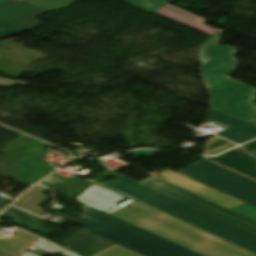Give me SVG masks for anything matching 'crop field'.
<instances>
[{
	"label": "crop field",
	"instance_id": "crop-field-6",
	"mask_svg": "<svg viewBox=\"0 0 256 256\" xmlns=\"http://www.w3.org/2000/svg\"><path fill=\"white\" fill-rule=\"evenodd\" d=\"M144 12H154L182 25L203 32L210 36L214 35L216 29L205 25L206 19L192 13L179 9L159 0H121Z\"/></svg>",
	"mask_w": 256,
	"mask_h": 256
},
{
	"label": "crop field",
	"instance_id": "crop-field-9",
	"mask_svg": "<svg viewBox=\"0 0 256 256\" xmlns=\"http://www.w3.org/2000/svg\"><path fill=\"white\" fill-rule=\"evenodd\" d=\"M207 120L226 128L217 135L238 144L256 139V127L241 120L226 116L212 109L207 114Z\"/></svg>",
	"mask_w": 256,
	"mask_h": 256
},
{
	"label": "crop field",
	"instance_id": "crop-field-27",
	"mask_svg": "<svg viewBox=\"0 0 256 256\" xmlns=\"http://www.w3.org/2000/svg\"><path fill=\"white\" fill-rule=\"evenodd\" d=\"M0 256H12V255H10V254H8V253H5V252H3V251H0Z\"/></svg>",
	"mask_w": 256,
	"mask_h": 256
},
{
	"label": "crop field",
	"instance_id": "crop-field-8",
	"mask_svg": "<svg viewBox=\"0 0 256 256\" xmlns=\"http://www.w3.org/2000/svg\"><path fill=\"white\" fill-rule=\"evenodd\" d=\"M158 175L162 176L160 178H163L181 188L192 191L206 199L217 202L229 209H232L244 203L238 199L228 196L222 192H219L194 180L188 179L168 169L160 172Z\"/></svg>",
	"mask_w": 256,
	"mask_h": 256
},
{
	"label": "crop field",
	"instance_id": "crop-field-2",
	"mask_svg": "<svg viewBox=\"0 0 256 256\" xmlns=\"http://www.w3.org/2000/svg\"><path fill=\"white\" fill-rule=\"evenodd\" d=\"M222 30L200 46L198 60L203 81L211 97L210 108L256 126V90L228 78L238 60L236 48L219 46Z\"/></svg>",
	"mask_w": 256,
	"mask_h": 256
},
{
	"label": "crop field",
	"instance_id": "crop-field-10",
	"mask_svg": "<svg viewBox=\"0 0 256 256\" xmlns=\"http://www.w3.org/2000/svg\"><path fill=\"white\" fill-rule=\"evenodd\" d=\"M221 165L256 179V159L245 153L240 147L215 158L207 157Z\"/></svg>",
	"mask_w": 256,
	"mask_h": 256
},
{
	"label": "crop field",
	"instance_id": "crop-field-15",
	"mask_svg": "<svg viewBox=\"0 0 256 256\" xmlns=\"http://www.w3.org/2000/svg\"><path fill=\"white\" fill-rule=\"evenodd\" d=\"M46 190L48 189L40 185H36L17 202H15L14 205L41 216L45 214V212L42 211L44 209L38 206L46 200V195L42 194V192Z\"/></svg>",
	"mask_w": 256,
	"mask_h": 256
},
{
	"label": "crop field",
	"instance_id": "crop-field-28",
	"mask_svg": "<svg viewBox=\"0 0 256 256\" xmlns=\"http://www.w3.org/2000/svg\"><path fill=\"white\" fill-rule=\"evenodd\" d=\"M162 1L168 3V2H171V1H174V0H162Z\"/></svg>",
	"mask_w": 256,
	"mask_h": 256
},
{
	"label": "crop field",
	"instance_id": "crop-field-29",
	"mask_svg": "<svg viewBox=\"0 0 256 256\" xmlns=\"http://www.w3.org/2000/svg\"><path fill=\"white\" fill-rule=\"evenodd\" d=\"M254 155H256V153Z\"/></svg>",
	"mask_w": 256,
	"mask_h": 256
},
{
	"label": "crop field",
	"instance_id": "crop-field-23",
	"mask_svg": "<svg viewBox=\"0 0 256 256\" xmlns=\"http://www.w3.org/2000/svg\"><path fill=\"white\" fill-rule=\"evenodd\" d=\"M242 147L245 148L250 154H253L256 152V141L243 145Z\"/></svg>",
	"mask_w": 256,
	"mask_h": 256
},
{
	"label": "crop field",
	"instance_id": "crop-field-17",
	"mask_svg": "<svg viewBox=\"0 0 256 256\" xmlns=\"http://www.w3.org/2000/svg\"><path fill=\"white\" fill-rule=\"evenodd\" d=\"M49 11L58 10L70 6L77 0H25Z\"/></svg>",
	"mask_w": 256,
	"mask_h": 256
},
{
	"label": "crop field",
	"instance_id": "crop-field-7",
	"mask_svg": "<svg viewBox=\"0 0 256 256\" xmlns=\"http://www.w3.org/2000/svg\"><path fill=\"white\" fill-rule=\"evenodd\" d=\"M49 12L25 1L0 7V20L22 30L31 31L40 26L38 16Z\"/></svg>",
	"mask_w": 256,
	"mask_h": 256
},
{
	"label": "crop field",
	"instance_id": "crop-field-12",
	"mask_svg": "<svg viewBox=\"0 0 256 256\" xmlns=\"http://www.w3.org/2000/svg\"><path fill=\"white\" fill-rule=\"evenodd\" d=\"M122 199V196L113 191L93 185L80 196H78L75 200L105 212L117 206L116 203Z\"/></svg>",
	"mask_w": 256,
	"mask_h": 256
},
{
	"label": "crop field",
	"instance_id": "crop-field-25",
	"mask_svg": "<svg viewBox=\"0 0 256 256\" xmlns=\"http://www.w3.org/2000/svg\"><path fill=\"white\" fill-rule=\"evenodd\" d=\"M13 1H17V0H0V5L6 4V3H9V2H13Z\"/></svg>",
	"mask_w": 256,
	"mask_h": 256
},
{
	"label": "crop field",
	"instance_id": "crop-field-5",
	"mask_svg": "<svg viewBox=\"0 0 256 256\" xmlns=\"http://www.w3.org/2000/svg\"><path fill=\"white\" fill-rule=\"evenodd\" d=\"M152 189H155L161 193H164L172 198H175L187 205H190L200 211H203L209 215L217 217L221 220L229 222L233 225H237L248 231L256 234V221L246 218L237 213L231 212L219 205H216L208 200L193 195L183 189L175 187L157 177H150L145 181L141 182Z\"/></svg>",
	"mask_w": 256,
	"mask_h": 256
},
{
	"label": "crop field",
	"instance_id": "crop-field-11",
	"mask_svg": "<svg viewBox=\"0 0 256 256\" xmlns=\"http://www.w3.org/2000/svg\"><path fill=\"white\" fill-rule=\"evenodd\" d=\"M44 154L39 153L27 159L16 160L21 165L17 178L21 180L26 186H31L55 168L50 164L44 165L38 158Z\"/></svg>",
	"mask_w": 256,
	"mask_h": 256
},
{
	"label": "crop field",
	"instance_id": "crop-field-3",
	"mask_svg": "<svg viewBox=\"0 0 256 256\" xmlns=\"http://www.w3.org/2000/svg\"><path fill=\"white\" fill-rule=\"evenodd\" d=\"M81 210L84 212L75 220L59 212L53 215L61 214L83 229L144 256H200L88 205Z\"/></svg>",
	"mask_w": 256,
	"mask_h": 256
},
{
	"label": "crop field",
	"instance_id": "crop-field-13",
	"mask_svg": "<svg viewBox=\"0 0 256 256\" xmlns=\"http://www.w3.org/2000/svg\"><path fill=\"white\" fill-rule=\"evenodd\" d=\"M0 217H9L14 223L31 228L44 235L48 233L40 218L16 207L8 208Z\"/></svg>",
	"mask_w": 256,
	"mask_h": 256
},
{
	"label": "crop field",
	"instance_id": "crop-field-14",
	"mask_svg": "<svg viewBox=\"0 0 256 256\" xmlns=\"http://www.w3.org/2000/svg\"><path fill=\"white\" fill-rule=\"evenodd\" d=\"M38 240L39 238L21 231L8 239H0V248L19 256Z\"/></svg>",
	"mask_w": 256,
	"mask_h": 256
},
{
	"label": "crop field",
	"instance_id": "crop-field-1",
	"mask_svg": "<svg viewBox=\"0 0 256 256\" xmlns=\"http://www.w3.org/2000/svg\"><path fill=\"white\" fill-rule=\"evenodd\" d=\"M118 180L101 183L207 231L217 237L136 201H128L108 214L133 224L202 256H256V235L202 213L175 199L137 184L110 170Z\"/></svg>",
	"mask_w": 256,
	"mask_h": 256
},
{
	"label": "crop field",
	"instance_id": "crop-field-19",
	"mask_svg": "<svg viewBox=\"0 0 256 256\" xmlns=\"http://www.w3.org/2000/svg\"><path fill=\"white\" fill-rule=\"evenodd\" d=\"M232 210L256 220V208L247 203H244Z\"/></svg>",
	"mask_w": 256,
	"mask_h": 256
},
{
	"label": "crop field",
	"instance_id": "crop-field-26",
	"mask_svg": "<svg viewBox=\"0 0 256 256\" xmlns=\"http://www.w3.org/2000/svg\"><path fill=\"white\" fill-rule=\"evenodd\" d=\"M21 256H37V255L32 254V253H30V252L26 251V252H25V253H23Z\"/></svg>",
	"mask_w": 256,
	"mask_h": 256
},
{
	"label": "crop field",
	"instance_id": "crop-field-16",
	"mask_svg": "<svg viewBox=\"0 0 256 256\" xmlns=\"http://www.w3.org/2000/svg\"><path fill=\"white\" fill-rule=\"evenodd\" d=\"M236 145L227 142L218 137H212L206 142V146L203 150L204 155H215L227 149H230Z\"/></svg>",
	"mask_w": 256,
	"mask_h": 256
},
{
	"label": "crop field",
	"instance_id": "crop-field-21",
	"mask_svg": "<svg viewBox=\"0 0 256 256\" xmlns=\"http://www.w3.org/2000/svg\"><path fill=\"white\" fill-rule=\"evenodd\" d=\"M34 248L39 249L41 251H44L46 253H49V252H52V253L59 252L58 249L55 246H53V245H51V244H49V243H47V242H45L43 240L39 244H37Z\"/></svg>",
	"mask_w": 256,
	"mask_h": 256
},
{
	"label": "crop field",
	"instance_id": "crop-field-20",
	"mask_svg": "<svg viewBox=\"0 0 256 256\" xmlns=\"http://www.w3.org/2000/svg\"><path fill=\"white\" fill-rule=\"evenodd\" d=\"M1 29H4L6 31L5 32L0 31V39L4 38V37H7V36H11V35L17 34V33L24 32V31H22L20 29H17V28H15L13 26H10V25L5 24V23L0 21V30Z\"/></svg>",
	"mask_w": 256,
	"mask_h": 256
},
{
	"label": "crop field",
	"instance_id": "crop-field-18",
	"mask_svg": "<svg viewBox=\"0 0 256 256\" xmlns=\"http://www.w3.org/2000/svg\"><path fill=\"white\" fill-rule=\"evenodd\" d=\"M92 256H141L117 244H114Z\"/></svg>",
	"mask_w": 256,
	"mask_h": 256
},
{
	"label": "crop field",
	"instance_id": "crop-field-24",
	"mask_svg": "<svg viewBox=\"0 0 256 256\" xmlns=\"http://www.w3.org/2000/svg\"><path fill=\"white\" fill-rule=\"evenodd\" d=\"M63 249V248H62ZM63 251H64V253L67 255V256H79V255H76V254H74V253H72V252H70V251H67V250H65V249H63Z\"/></svg>",
	"mask_w": 256,
	"mask_h": 256
},
{
	"label": "crop field",
	"instance_id": "crop-field-22",
	"mask_svg": "<svg viewBox=\"0 0 256 256\" xmlns=\"http://www.w3.org/2000/svg\"><path fill=\"white\" fill-rule=\"evenodd\" d=\"M18 84H29V83H23V82L12 81V80L0 78V87H10V86L18 85Z\"/></svg>",
	"mask_w": 256,
	"mask_h": 256
},
{
	"label": "crop field",
	"instance_id": "crop-field-4",
	"mask_svg": "<svg viewBox=\"0 0 256 256\" xmlns=\"http://www.w3.org/2000/svg\"><path fill=\"white\" fill-rule=\"evenodd\" d=\"M184 175L256 207V181L206 159L184 170Z\"/></svg>",
	"mask_w": 256,
	"mask_h": 256
}]
</instances>
